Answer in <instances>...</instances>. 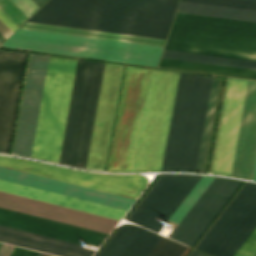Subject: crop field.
<instances>
[{"label":"crop field","mask_w":256,"mask_h":256,"mask_svg":"<svg viewBox=\"0 0 256 256\" xmlns=\"http://www.w3.org/2000/svg\"><path fill=\"white\" fill-rule=\"evenodd\" d=\"M179 0H50L28 21L166 39Z\"/></svg>","instance_id":"obj_1"},{"label":"crop field","mask_w":256,"mask_h":256,"mask_svg":"<svg viewBox=\"0 0 256 256\" xmlns=\"http://www.w3.org/2000/svg\"><path fill=\"white\" fill-rule=\"evenodd\" d=\"M165 49L256 61V22L177 12Z\"/></svg>","instance_id":"obj_2"},{"label":"crop field","mask_w":256,"mask_h":256,"mask_svg":"<svg viewBox=\"0 0 256 256\" xmlns=\"http://www.w3.org/2000/svg\"><path fill=\"white\" fill-rule=\"evenodd\" d=\"M212 79L180 73L161 171H195Z\"/></svg>","instance_id":"obj_3"},{"label":"crop field","mask_w":256,"mask_h":256,"mask_svg":"<svg viewBox=\"0 0 256 256\" xmlns=\"http://www.w3.org/2000/svg\"><path fill=\"white\" fill-rule=\"evenodd\" d=\"M178 75L150 71L131 172L161 169Z\"/></svg>","instance_id":"obj_4"},{"label":"crop field","mask_w":256,"mask_h":256,"mask_svg":"<svg viewBox=\"0 0 256 256\" xmlns=\"http://www.w3.org/2000/svg\"><path fill=\"white\" fill-rule=\"evenodd\" d=\"M77 60L50 56L31 157L58 163Z\"/></svg>","instance_id":"obj_5"},{"label":"crop field","mask_w":256,"mask_h":256,"mask_svg":"<svg viewBox=\"0 0 256 256\" xmlns=\"http://www.w3.org/2000/svg\"><path fill=\"white\" fill-rule=\"evenodd\" d=\"M104 63L78 60L61 164L85 168Z\"/></svg>","instance_id":"obj_6"},{"label":"crop field","mask_w":256,"mask_h":256,"mask_svg":"<svg viewBox=\"0 0 256 256\" xmlns=\"http://www.w3.org/2000/svg\"><path fill=\"white\" fill-rule=\"evenodd\" d=\"M10 37L44 41V42H52V43H60V44H68V45H76V46H84V47H92V48H100V49H108V50H116V51H124V52H132V53H140V54H148V55H156V56L160 55V51L162 48L158 46L38 32V31H30V30H22V29H18ZM12 38H8L1 46L35 50V51H43V52H51V53H59V54H66V55H74V56H82V57H90V58H97V59L121 61V62H128V63L152 65V66L156 65L157 60L159 58L156 56H148V55H140V54H132V53L116 52V51L52 44V43H44V42H36V41H28V40H20V39H12Z\"/></svg>","instance_id":"obj_7"},{"label":"crop field","mask_w":256,"mask_h":256,"mask_svg":"<svg viewBox=\"0 0 256 256\" xmlns=\"http://www.w3.org/2000/svg\"><path fill=\"white\" fill-rule=\"evenodd\" d=\"M150 69L127 66L107 171L130 172Z\"/></svg>","instance_id":"obj_8"},{"label":"crop field","mask_w":256,"mask_h":256,"mask_svg":"<svg viewBox=\"0 0 256 256\" xmlns=\"http://www.w3.org/2000/svg\"><path fill=\"white\" fill-rule=\"evenodd\" d=\"M256 226V184L246 182L196 249L232 256Z\"/></svg>","instance_id":"obj_9"},{"label":"crop field","mask_w":256,"mask_h":256,"mask_svg":"<svg viewBox=\"0 0 256 256\" xmlns=\"http://www.w3.org/2000/svg\"><path fill=\"white\" fill-rule=\"evenodd\" d=\"M0 166L134 199H137L147 186V178L142 175H107L83 172L5 156H0Z\"/></svg>","instance_id":"obj_10"},{"label":"crop field","mask_w":256,"mask_h":256,"mask_svg":"<svg viewBox=\"0 0 256 256\" xmlns=\"http://www.w3.org/2000/svg\"><path fill=\"white\" fill-rule=\"evenodd\" d=\"M200 177L161 174L127 220L158 233Z\"/></svg>","instance_id":"obj_11"},{"label":"crop field","mask_w":256,"mask_h":256,"mask_svg":"<svg viewBox=\"0 0 256 256\" xmlns=\"http://www.w3.org/2000/svg\"><path fill=\"white\" fill-rule=\"evenodd\" d=\"M248 80L228 77L210 173L230 176Z\"/></svg>","instance_id":"obj_12"},{"label":"crop field","mask_w":256,"mask_h":256,"mask_svg":"<svg viewBox=\"0 0 256 256\" xmlns=\"http://www.w3.org/2000/svg\"><path fill=\"white\" fill-rule=\"evenodd\" d=\"M123 68L105 63L86 168H105Z\"/></svg>","instance_id":"obj_13"},{"label":"crop field","mask_w":256,"mask_h":256,"mask_svg":"<svg viewBox=\"0 0 256 256\" xmlns=\"http://www.w3.org/2000/svg\"><path fill=\"white\" fill-rule=\"evenodd\" d=\"M241 183L215 178L169 238L193 247Z\"/></svg>","instance_id":"obj_14"},{"label":"crop field","mask_w":256,"mask_h":256,"mask_svg":"<svg viewBox=\"0 0 256 256\" xmlns=\"http://www.w3.org/2000/svg\"><path fill=\"white\" fill-rule=\"evenodd\" d=\"M0 207L110 234L117 220L5 193L0 191Z\"/></svg>","instance_id":"obj_15"},{"label":"crop field","mask_w":256,"mask_h":256,"mask_svg":"<svg viewBox=\"0 0 256 256\" xmlns=\"http://www.w3.org/2000/svg\"><path fill=\"white\" fill-rule=\"evenodd\" d=\"M26 53L0 50V151H9Z\"/></svg>","instance_id":"obj_16"},{"label":"crop field","mask_w":256,"mask_h":256,"mask_svg":"<svg viewBox=\"0 0 256 256\" xmlns=\"http://www.w3.org/2000/svg\"><path fill=\"white\" fill-rule=\"evenodd\" d=\"M49 56L32 54L14 153L28 156L34 139Z\"/></svg>","instance_id":"obj_17"},{"label":"crop field","mask_w":256,"mask_h":256,"mask_svg":"<svg viewBox=\"0 0 256 256\" xmlns=\"http://www.w3.org/2000/svg\"><path fill=\"white\" fill-rule=\"evenodd\" d=\"M0 224L82 244L99 246L107 234L0 208Z\"/></svg>","instance_id":"obj_18"},{"label":"crop field","mask_w":256,"mask_h":256,"mask_svg":"<svg viewBox=\"0 0 256 256\" xmlns=\"http://www.w3.org/2000/svg\"><path fill=\"white\" fill-rule=\"evenodd\" d=\"M0 179L128 210L134 199L0 167Z\"/></svg>","instance_id":"obj_19"},{"label":"crop field","mask_w":256,"mask_h":256,"mask_svg":"<svg viewBox=\"0 0 256 256\" xmlns=\"http://www.w3.org/2000/svg\"><path fill=\"white\" fill-rule=\"evenodd\" d=\"M255 155L256 81L249 80L231 176L251 180Z\"/></svg>","instance_id":"obj_20"},{"label":"crop field","mask_w":256,"mask_h":256,"mask_svg":"<svg viewBox=\"0 0 256 256\" xmlns=\"http://www.w3.org/2000/svg\"><path fill=\"white\" fill-rule=\"evenodd\" d=\"M161 238L145 228L123 224L97 256H148Z\"/></svg>","instance_id":"obj_21"},{"label":"crop field","mask_w":256,"mask_h":256,"mask_svg":"<svg viewBox=\"0 0 256 256\" xmlns=\"http://www.w3.org/2000/svg\"><path fill=\"white\" fill-rule=\"evenodd\" d=\"M0 241L59 256H92L94 250L0 225Z\"/></svg>","instance_id":"obj_22"},{"label":"crop field","mask_w":256,"mask_h":256,"mask_svg":"<svg viewBox=\"0 0 256 256\" xmlns=\"http://www.w3.org/2000/svg\"><path fill=\"white\" fill-rule=\"evenodd\" d=\"M0 190L118 220H120L126 212L125 210L79 200L3 180H0Z\"/></svg>","instance_id":"obj_23"},{"label":"crop field","mask_w":256,"mask_h":256,"mask_svg":"<svg viewBox=\"0 0 256 256\" xmlns=\"http://www.w3.org/2000/svg\"><path fill=\"white\" fill-rule=\"evenodd\" d=\"M159 67L256 79V70L162 58Z\"/></svg>","instance_id":"obj_24"},{"label":"crop field","mask_w":256,"mask_h":256,"mask_svg":"<svg viewBox=\"0 0 256 256\" xmlns=\"http://www.w3.org/2000/svg\"><path fill=\"white\" fill-rule=\"evenodd\" d=\"M24 25H25V24H24ZM26 25H28V26H36V27H44V28H52V29H59V30H67V31L82 32V33L106 35V36H113V37L129 38V39H136V40L160 42V43H163V41H164V40H161V39L145 38V37H138V36H130V35H123V34L107 33V32L92 31V30L77 29V28H69V27L54 26V25L39 24V23H31V22H27ZM22 26H23V25H22ZM22 26H21V27H22ZM21 27H20V28H21ZM22 28H24V29H32V30H40V31H48V32H56V33H64V34H72V35H80V36H88V37H95V38H103V39H111V40H119V41H127V42H135V43H143V44H151V45H159V46H162V45H163V44H160V43H152V42L128 40V39H121V38L97 36V35H90V34L66 32V31H58V30L43 29V28H35V27H27V26H23ZM165 41H166V40H165ZM164 43H165V42H164ZM163 46H164V45H163Z\"/></svg>","instance_id":"obj_25"},{"label":"crop field","mask_w":256,"mask_h":256,"mask_svg":"<svg viewBox=\"0 0 256 256\" xmlns=\"http://www.w3.org/2000/svg\"><path fill=\"white\" fill-rule=\"evenodd\" d=\"M177 11L240 20L256 21V11L192 4L181 2Z\"/></svg>","instance_id":"obj_26"},{"label":"crop field","mask_w":256,"mask_h":256,"mask_svg":"<svg viewBox=\"0 0 256 256\" xmlns=\"http://www.w3.org/2000/svg\"><path fill=\"white\" fill-rule=\"evenodd\" d=\"M162 57L256 69V62L165 50Z\"/></svg>","instance_id":"obj_27"},{"label":"crop field","mask_w":256,"mask_h":256,"mask_svg":"<svg viewBox=\"0 0 256 256\" xmlns=\"http://www.w3.org/2000/svg\"><path fill=\"white\" fill-rule=\"evenodd\" d=\"M29 17L39 8L32 0H12ZM11 0H0V10L3 11L18 27L29 17Z\"/></svg>","instance_id":"obj_28"},{"label":"crop field","mask_w":256,"mask_h":256,"mask_svg":"<svg viewBox=\"0 0 256 256\" xmlns=\"http://www.w3.org/2000/svg\"><path fill=\"white\" fill-rule=\"evenodd\" d=\"M220 81L213 80L197 169L203 170Z\"/></svg>","instance_id":"obj_29"},{"label":"crop field","mask_w":256,"mask_h":256,"mask_svg":"<svg viewBox=\"0 0 256 256\" xmlns=\"http://www.w3.org/2000/svg\"><path fill=\"white\" fill-rule=\"evenodd\" d=\"M213 177L202 176L198 183L194 186L188 196L184 199L181 205L177 208L174 214L170 217L169 220L179 223L187 211L192 207L204 190L209 186L213 181Z\"/></svg>","instance_id":"obj_30"},{"label":"crop field","mask_w":256,"mask_h":256,"mask_svg":"<svg viewBox=\"0 0 256 256\" xmlns=\"http://www.w3.org/2000/svg\"><path fill=\"white\" fill-rule=\"evenodd\" d=\"M185 248L186 246L163 237L149 256H180Z\"/></svg>","instance_id":"obj_31"},{"label":"crop field","mask_w":256,"mask_h":256,"mask_svg":"<svg viewBox=\"0 0 256 256\" xmlns=\"http://www.w3.org/2000/svg\"><path fill=\"white\" fill-rule=\"evenodd\" d=\"M181 1L256 10V2L241 1V0H181Z\"/></svg>","instance_id":"obj_32"},{"label":"crop field","mask_w":256,"mask_h":256,"mask_svg":"<svg viewBox=\"0 0 256 256\" xmlns=\"http://www.w3.org/2000/svg\"><path fill=\"white\" fill-rule=\"evenodd\" d=\"M234 256H256V228L237 250Z\"/></svg>","instance_id":"obj_33"},{"label":"crop field","mask_w":256,"mask_h":256,"mask_svg":"<svg viewBox=\"0 0 256 256\" xmlns=\"http://www.w3.org/2000/svg\"><path fill=\"white\" fill-rule=\"evenodd\" d=\"M0 19L14 32L18 27L0 11ZM0 20V34L6 39L13 32Z\"/></svg>","instance_id":"obj_34"},{"label":"crop field","mask_w":256,"mask_h":256,"mask_svg":"<svg viewBox=\"0 0 256 256\" xmlns=\"http://www.w3.org/2000/svg\"><path fill=\"white\" fill-rule=\"evenodd\" d=\"M37 252L14 246L9 256H36Z\"/></svg>","instance_id":"obj_35"},{"label":"crop field","mask_w":256,"mask_h":256,"mask_svg":"<svg viewBox=\"0 0 256 256\" xmlns=\"http://www.w3.org/2000/svg\"><path fill=\"white\" fill-rule=\"evenodd\" d=\"M12 248V245L3 244L2 248L0 249V256H8Z\"/></svg>","instance_id":"obj_36"},{"label":"crop field","mask_w":256,"mask_h":256,"mask_svg":"<svg viewBox=\"0 0 256 256\" xmlns=\"http://www.w3.org/2000/svg\"><path fill=\"white\" fill-rule=\"evenodd\" d=\"M189 256H208V255L193 249L192 252L189 254Z\"/></svg>","instance_id":"obj_37"},{"label":"crop field","mask_w":256,"mask_h":256,"mask_svg":"<svg viewBox=\"0 0 256 256\" xmlns=\"http://www.w3.org/2000/svg\"><path fill=\"white\" fill-rule=\"evenodd\" d=\"M39 7L44 4L47 0H33Z\"/></svg>","instance_id":"obj_38"},{"label":"crop field","mask_w":256,"mask_h":256,"mask_svg":"<svg viewBox=\"0 0 256 256\" xmlns=\"http://www.w3.org/2000/svg\"><path fill=\"white\" fill-rule=\"evenodd\" d=\"M252 180L256 181V161H255V167H254V172H253V178Z\"/></svg>","instance_id":"obj_39"},{"label":"crop field","mask_w":256,"mask_h":256,"mask_svg":"<svg viewBox=\"0 0 256 256\" xmlns=\"http://www.w3.org/2000/svg\"><path fill=\"white\" fill-rule=\"evenodd\" d=\"M37 256H49V255L38 252Z\"/></svg>","instance_id":"obj_40"},{"label":"crop field","mask_w":256,"mask_h":256,"mask_svg":"<svg viewBox=\"0 0 256 256\" xmlns=\"http://www.w3.org/2000/svg\"><path fill=\"white\" fill-rule=\"evenodd\" d=\"M5 39L0 35V42L2 43Z\"/></svg>","instance_id":"obj_41"},{"label":"crop field","mask_w":256,"mask_h":256,"mask_svg":"<svg viewBox=\"0 0 256 256\" xmlns=\"http://www.w3.org/2000/svg\"><path fill=\"white\" fill-rule=\"evenodd\" d=\"M1 246H2V243H0V248H1Z\"/></svg>","instance_id":"obj_42"},{"label":"crop field","mask_w":256,"mask_h":256,"mask_svg":"<svg viewBox=\"0 0 256 256\" xmlns=\"http://www.w3.org/2000/svg\"><path fill=\"white\" fill-rule=\"evenodd\" d=\"M249 1H256V0H249Z\"/></svg>","instance_id":"obj_43"},{"label":"crop field","mask_w":256,"mask_h":256,"mask_svg":"<svg viewBox=\"0 0 256 256\" xmlns=\"http://www.w3.org/2000/svg\"><path fill=\"white\" fill-rule=\"evenodd\" d=\"M1 44V43H0Z\"/></svg>","instance_id":"obj_44"}]
</instances>
